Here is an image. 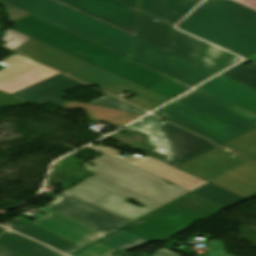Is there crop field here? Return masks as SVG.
I'll list each match as a JSON object with an SVG mask.
<instances>
[{"instance_id": "37", "label": "crop field", "mask_w": 256, "mask_h": 256, "mask_svg": "<svg viewBox=\"0 0 256 256\" xmlns=\"http://www.w3.org/2000/svg\"><path fill=\"white\" fill-rule=\"evenodd\" d=\"M249 59H251V60H253V61H256V55L253 56V57H251V58H249Z\"/></svg>"}, {"instance_id": "31", "label": "crop field", "mask_w": 256, "mask_h": 256, "mask_svg": "<svg viewBox=\"0 0 256 256\" xmlns=\"http://www.w3.org/2000/svg\"><path fill=\"white\" fill-rule=\"evenodd\" d=\"M207 256H231L228 255L225 248L223 247L222 241H211L209 253Z\"/></svg>"}, {"instance_id": "18", "label": "crop field", "mask_w": 256, "mask_h": 256, "mask_svg": "<svg viewBox=\"0 0 256 256\" xmlns=\"http://www.w3.org/2000/svg\"><path fill=\"white\" fill-rule=\"evenodd\" d=\"M164 122L165 121L153 115H148L125 129L131 131L137 130L148 134L149 144L156 147V152L167 155L168 160L166 163L170 164L174 158V152L164 130L162 129Z\"/></svg>"}, {"instance_id": "2", "label": "crop field", "mask_w": 256, "mask_h": 256, "mask_svg": "<svg viewBox=\"0 0 256 256\" xmlns=\"http://www.w3.org/2000/svg\"><path fill=\"white\" fill-rule=\"evenodd\" d=\"M178 28L244 58L256 53V11L230 0H206Z\"/></svg>"}, {"instance_id": "9", "label": "crop field", "mask_w": 256, "mask_h": 256, "mask_svg": "<svg viewBox=\"0 0 256 256\" xmlns=\"http://www.w3.org/2000/svg\"><path fill=\"white\" fill-rule=\"evenodd\" d=\"M54 198L58 200L48 207L107 235L131 224V222L67 192Z\"/></svg>"}, {"instance_id": "16", "label": "crop field", "mask_w": 256, "mask_h": 256, "mask_svg": "<svg viewBox=\"0 0 256 256\" xmlns=\"http://www.w3.org/2000/svg\"><path fill=\"white\" fill-rule=\"evenodd\" d=\"M163 129L166 131L175 151L172 165L177 166L192 157H195L213 147L212 142L184 131L165 122Z\"/></svg>"}, {"instance_id": "17", "label": "crop field", "mask_w": 256, "mask_h": 256, "mask_svg": "<svg viewBox=\"0 0 256 256\" xmlns=\"http://www.w3.org/2000/svg\"><path fill=\"white\" fill-rule=\"evenodd\" d=\"M203 0H144L142 12L175 26Z\"/></svg>"}, {"instance_id": "8", "label": "crop field", "mask_w": 256, "mask_h": 256, "mask_svg": "<svg viewBox=\"0 0 256 256\" xmlns=\"http://www.w3.org/2000/svg\"><path fill=\"white\" fill-rule=\"evenodd\" d=\"M172 207L191 218L169 208ZM226 207L198 196L194 193L184 199L126 227L134 234L152 241L168 239L199 220H205Z\"/></svg>"}, {"instance_id": "3", "label": "crop field", "mask_w": 256, "mask_h": 256, "mask_svg": "<svg viewBox=\"0 0 256 256\" xmlns=\"http://www.w3.org/2000/svg\"><path fill=\"white\" fill-rule=\"evenodd\" d=\"M155 113L221 143L256 126V115L198 89Z\"/></svg>"}, {"instance_id": "12", "label": "crop field", "mask_w": 256, "mask_h": 256, "mask_svg": "<svg viewBox=\"0 0 256 256\" xmlns=\"http://www.w3.org/2000/svg\"><path fill=\"white\" fill-rule=\"evenodd\" d=\"M38 210L49 215L45 217L40 213L33 216L35 222L17 216L83 247L107 236L46 206Z\"/></svg>"}, {"instance_id": "34", "label": "crop field", "mask_w": 256, "mask_h": 256, "mask_svg": "<svg viewBox=\"0 0 256 256\" xmlns=\"http://www.w3.org/2000/svg\"><path fill=\"white\" fill-rule=\"evenodd\" d=\"M0 256H22L5 247L0 246Z\"/></svg>"}, {"instance_id": "27", "label": "crop field", "mask_w": 256, "mask_h": 256, "mask_svg": "<svg viewBox=\"0 0 256 256\" xmlns=\"http://www.w3.org/2000/svg\"><path fill=\"white\" fill-rule=\"evenodd\" d=\"M90 104L104 106V107L113 108V109H117V110L131 112V113H136V114H140V115L147 113V112H145L141 109H138L134 106H131L121 100H118L110 95H107L103 98L93 101Z\"/></svg>"}, {"instance_id": "7", "label": "crop field", "mask_w": 256, "mask_h": 256, "mask_svg": "<svg viewBox=\"0 0 256 256\" xmlns=\"http://www.w3.org/2000/svg\"><path fill=\"white\" fill-rule=\"evenodd\" d=\"M133 59L136 37L54 0H1Z\"/></svg>"}, {"instance_id": "24", "label": "crop field", "mask_w": 256, "mask_h": 256, "mask_svg": "<svg viewBox=\"0 0 256 256\" xmlns=\"http://www.w3.org/2000/svg\"><path fill=\"white\" fill-rule=\"evenodd\" d=\"M150 241L127 231H120L100 243L125 252Z\"/></svg>"}, {"instance_id": "22", "label": "crop field", "mask_w": 256, "mask_h": 256, "mask_svg": "<svg viewBox=\"0 0 256 256\" xmlns=\"http://www.w3.org/2000/svg\"><path fill=\"white\" fill-rule=\"evenodd\" d=\"M142 15L139 37L171 52L174 28Z\"/></svg>"}, {"instance_id": "28", "label": "crop field", "mask_w": 256, "mask_h": 256, "mask_svg": "<svg viewBox=\"0 0 256 256\" xmlns=\"http://www.w3.org/2000/svg\"><path fill=\"white\" fill-rule=\"evenodd\" d=\"M29 39L30 38H28L18 32L8 30L7 32H5L4 37L2 38V41L8 43L5 46L15 50L19 46H21L22 44L27 42Z\"/></svg>"}, {"instance_id": "25", "label": "crop field", "mask_w": 256, "mask_h": 256, "mask_svg": "<svg viewBox=\"0 0 256 256\" xmlns=\"http://www.w3.org/2000/svg\"><path fill=\"white\" fill-rule=\"evenodd\" d=\"M241 64L231 68L222 75L256 89V63L252 66H243Z\"/></svg>"}, {"instance_id": "32", "label": "crop field", "mask_w": 256, "mask_h": 256, "mask_svg": "<svg viewBox=\"0 0 256 256\" xmlns=\"http://www.w3.org/2000/svg\"><path fill=\"white\" fill-rule=\"evenodd\" d=\"M17 105H26V103L12 98L4 93L0 94V108L7 107V106H17Z\"/></svg>"}, {"instance_id": "26", "label": "crop field", "mask_w": 256, "mask_h": 256, "mask_svg": "<svg viewBox=\"0 0 256 256\" xmlns=\"http://www.w3.org/2000/svg\"><path fill=\"white\" fill-rule=\"evenodd\" d=\"M148 89L170 99L173 96L189 89V87H187L177 81L167 78V79L149 87Z\"/></svg>"}, {"instance_id": "21", "label": "crop field", "mask_w": 256, "mask_h": 256, "mask_svg": "<svg viewBox=\"0 0 256 256\" xmlns=\"http://www.w3.org/2000/svg\"><path fill=\"white\" fill-rule=\"evenodd\" d=\"M65 108L69 109H78L81 108L88 112L91 118L100 120L103 123L115 126L122 127L131 121L141 117L140 115L126 113L122 111H117L113 109H108L104 107L94 106L90 104L71 102L65 106Z\"/></svg>"}, {"instance_id": "35", "label": "crop field", "mask_w": 256, "mask_h": 256, "mask_svg": "<svg viewBox=\"0 0 256 256\" xmlns=\"http://www.w3.org/2000/svg\"><path fill=\"white\" fill-rule=\"evenodd\" d=\"M153 256H179V255L163 248L160 251H158L156 254H154Z\"/></svg>"}, {"instance_id": "4", "label": "crop field", "mask_w": 256, "mask_h": 256, "mask_svg": "<svg viewBox=\"0 0 256 256\" xmlns=\"http://www.w3.org/2000/svg\"><path fill=\"white\" fill-rule=\"evenodd\" d=\"M15 26L18 32L145 88L166 78L34 16L16 22Z\"/></svg>"}, {"instance_id": "29", "label": "crop field", "mask_w": 256, "mask_h": 256, "mask_svg": "<svg viewBox=\"0 0 256 256\" xmlns=\"http://www.w3.org/2000/svg\"><path fill=\"white\" fill-rule=\"evenodd\" d=\"M117 250L97 243L75 256H112L111 253Z\"/></svg>"}, {"instance_id": "10", "label": "crop field", "mask_w": 256, "mask_h": 256, "mask_svg": "<svg viewBox=\"0 0 256 256\" xmlns=\"http://www.w3.org/2000/svg\"><path fill=\"white\" fill-rule=\"evenodd\" d=\"M71 76L80 79L86 83L98 86L102 88L104 91L110 92L116 96H119L126 90L133 91L138 94L134 98L127 100L124 97H119L147 111L155 108L156 106L168 100L156 93H153L143 87L132 84L95 66H92Z\"/></svg>"}, {"instance_id": "36", "label": "crop field", "mask_w": 256, "mask_h": 256, "mask_svg": "<svg viewBox=\"0 0 256 256\" xmlns=\"http://www.w3.org/2000/svg\"><path fill=\"white\" fill-rule=\"evenodd\" d=\"M239 1H245V0H239ZM241 5L251 8L253 10H256V0H247L245 3Z\"/></svg>"}, {"instance_id": "13", "label": "crop field", "mask_w": 256, "mask_h": 256, "mask_svg": "<svg viewBox=\"0 0 256 256\" xmlns=\"http://www.w3.org/2000/svg\"><path fill=\"white\" fill-rule=\"evenodd\" d=\"M91 146L116 157L115 159L119 161H122L130 166H135L165 181H168L174 185H177L189 192L207 184V182L201 179H198L192 175H189L171 165L164 164L150 156L141 158L133 155L129 158H123L119 156L121 152L111 147L106 148L102 146H98V147L94 145H91Z\"/></svg>"}, {"instance_id": "1", "label": "crop field", "mask_w": 256, "mask_h": 256, "mask_svg": "<svg viewBox=\"0 0 256 256\" xmlns=\"http://www.w3.org/2000/svg\"><path fill=\"white\" fill-rule=\"evenodd\" d=\"M137 60L195 86L240 58L175 29L172 53L139 38Z\"/></svg>"}, {"instance_id": "33", "label": "crop field", "mask_w": 256, "mask_h": 256, "mask_svg": "<svg viewBox=\"0 0 256 256\" xmlns=\"http://www.w3.org/2000/svg\"><path fill=\"white\" fill-rule=\"evenodd\" d=\"M139 11L141 0H116Z\"/></svg>"}, {"instance_id": "20", "label": "crop field", "mask_w": 256, "mask_h": 256, "mask_svg": "<svg viewBox=\"0 0 256 256\" xmlns=\"http://www.w3.org/2000/svg\"><path fill=\"white\" fill-rule=\"evenodd\" d=\"M0 245L24 256H64L42 244L19 236L9 230L0 233Z\"/></svg>"}, {"instance_id": "30", "label": "crop field", "mask_w": 256, "mask_h": 256, "mask_svg": "<svg viewBox=\"0 0 256 256\" xmlns=\"http://www.w3.org/2000/svg\"><path fill=\"white\" fill-rule=\"evenodd\" d=\"M0 5H4L5 10H6L7 14H8L9 19H10V22H16L18 20H21V19L31 15V14H29L27 12H24V11H22L20 9H17V8H15L13 6H10V5L6 4V3H3L1 1H0Z\"/></svg>"}, {"instance_id": "15", "label": "crop field", "mask_w": 256, "mask_h": 256, "mask_svg": "<svg viewBox=\"0 0 256 256\" xmlns=\"http://www.w3.org/2000/svg\"><path fill=\"white\" fill-rule=\"evenodd\" d=\"M198 89L256 114V90L222 75L204 83Z\"/></svg>"}, {"instance_id": "5", "label": "crop field", "mask_w": 256, "mask_h": 256, "mask_svg": "<svg viewBox=\"0 0 256 256\" xmlns=\"http://www.w3.org/2000/svg\"><path fill=\"white\" fill-rule=\"evenodd\" d=\"M255 159L256 130H253L179 168L250 198L256 195Z\"/></svg>"}, {"instance_id": "23", "label": "crop field", "mask_w": 256, "mask_h": 256, "mask_svg": "<svg viewBox=\"0 0 256 256\" xmlns=\"http://www.w3.org/2000/svg\"><path fill=\"white\" fill-rule=\"evenodd\" d=\"M194 193L208 198L212 201H215L219 204H222L228 208L241 201L246 200V198L242 196L234 194L213 184H210Z\"/></svg>"}, {"instance_id": "19", "label": "crop field", "mask_w": 256, "mask_h": 256, "mask_svg": "<svg viewBox=\"0 0 256 256\" xmlns=\"http://www.w3.org/2000/svg\"><path fill=\"white\" fill-rule=\"evenodd\" d=\"M3 226L19 231L27 236L37 239L47 245H50L68 255L82 249L83 247L38 228L26 221L16 218Z\"/></svg>"}, {"instance_id": "11", "label": "crop field", "mask_w": 256, "mask_h": 256, "mask_svg": "<svg viewBox=\"0 0 256 256\" xmlns=\"http://www.w3.org/2000/svg\"><path fill=\"white\" fill-rule=\"evenodd\" d=\"M135 36L138 12L112 0H56Z\"/></svg>"}, {"instance_id": "6", "label": "crop field", "mask_w": 256, "mask_h": 256, "mask_svg": "<svg viewBox=\"0 0 256 256\" xmlns=\"http://www.w3.org/2000/svg\"><path fill=\"white\" fill-rule=\"evenodd\" d=\"M0 64L8 67L0 72V91L11 94L29 104L48 102L64 105L63 91L84 84L43 67L30 59L13 55Z\"/></svg>"}, {"instance_id": "14", "label": "crop field", "mask_w": 256, "mask_h": 256, "mask_svg": "<svg viewBox=\"0 0 256 256\" xmlns=\"http://www.w3.org/2000/svg\"><path fill=\"white\" fill-rule=\"evenodd\" d=\"M15 51L23 53L35 59L37 62L47 65L67 75L92 65H89L90 63L87 64L47 44L33 39L29 40Z\"/></svg>"}]
</instances>
